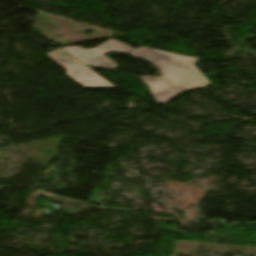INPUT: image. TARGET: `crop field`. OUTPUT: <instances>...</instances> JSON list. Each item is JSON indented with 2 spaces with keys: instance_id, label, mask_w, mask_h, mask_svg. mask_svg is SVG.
I'll list each match as a JSON object with an SVG mask.
<instances>
[{
  "instance_id": "8a807250",
  "label": "crop field",
  "mask_w": 256,
  "mask_h": 256,
  "mask_svg": "<svg viewBox=\"0 0 256 256\" xmlns=\"http://www.w3.org/2000/svg\"><path fill=\"white\" fill-rule=\"evenodd\" d=\"M68 52L85 64L105 69H114L117 64L103 54L121 52L150 61L162 74L159 78L149 75L138 77L146 83L158 104H166L176 95L191 89H201L209 85V81L194 66L197 57H187L175 53L142 47L135 50L125 43L110 39L94 49H83L80 46L64 47ZM184 93V92H183Z\"/></svg>"
},
{
  "instance_id": "ac0d7876",
  "label": "crop field",
  "mask_w": 256,
  "mask_h": 256,
  "mask_svg": "<svg viewBox=\"0 0 256 256\" xmlns=\"http://www.w3.org/2000/svg\"><path fill=\"white\" fill-rule=\"evenodd\" d=\"M47 54L48 57L67 69V75L85 88L116 87L60 49L48 52Z\"/></svg>"
}]
</instances>
